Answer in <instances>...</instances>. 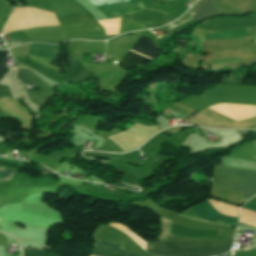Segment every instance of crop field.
<instances>
[{
	"label": "crop field",
	"instance_id": "crop-field-7",
	"mask_svg": "<svg viewBox=\"0 0 256 256\" xmlns=\"http://www.w3.org/2000/svg\"><path fill=\"white\" fill-rule=\"evenodd\" d=\"M94 239L96 240V242L94 244L96 246L103 247V248H106V249H111V250L127 252L126 250H124L121 247L122 244L102 241V240H99L97 238H94ZM99 247L94 246L93 251L91 253L92 256H134L130 253L110 251V250L102 249V248H99Z\"/></svg>",
	"mask_w": 256,
	"mask_h": 256
},
{
	"label": "crop field",
	"instance_id": "crop-field-14",
	"mask_svg": "<svg viewBox=\"0 0 256 256\" xmlns=\"http://www.w3.org/2000/svg\"><path fill=\"white\" fill-rule=\"evenodd\" d=\"M8 51H0V79L6 71L4 61L7 57Z\"/></svg>",
	"mask_w": 256,
	"mask_h": 256
},
{
	"label": "crop field",
	"instance_id": "crop-field-5",
	"mask_svg": "<svg viewBox=\"0 0 256 256\" xmlns=\"http://www.w3.org/2000/svg\"><path fill=\"white\" fill-rule=\"evenodd\" d=\"M209 108L237 121L256 116V106L239 104H217Z\"/></svg>",
	"mask_w": 256,
	"mask_h": 256
},
{
	"label": "crop field",
	"instance_id": "crop-field-4",
	"mask_svg": "<svg viewBox=\"0 0 256 256\" xmlns=\"http://www.w3.org/2000/svg\"><path fill=\"white\" fill-rule=\"evenodd\" d=\"M132 49L136 50V51H139L143 54H146L150 57H156L158 56V51L157 49L155 48V46L153 45V43L150 41V39L148 38H145V37H142L140 36L139 40L137 41V43L132 47ZM130 49V51L132 52H135L137 54H140L142 56H145L147 58H150L146 55H143L139 52H136L134 50ZM128 51L125 56L123 57L122 61L118 64L120 67H122L123 69H125L126 71L149 60L145 57H142L140 55H137L135 53H132ZM124 70V71H125Z\"/></svg>",
	"mask_w": 256,
	"mask_h": 256
},
{
	"label": "crop field",
	"instance_id": "crop-field-6",
	"mask_svg": "<svg viewBox=\"0 0 256 256\" xmlns=\"http://www.w3.org/2000/svg\"><path fill=\"white\" fill-rule=\"evenodd\" d=\"M96 8L107 18L121 17L139 11L135 2L98 6Z\"/></svg>",
	"mask_w": 256,
	"mask_h": 256
},
{
	"label": "crop field",
	"instance_id": "crop-field-11",
	"mask_svg": "<svg viewBox=\"0 0 256 256\" xmlns=\"http://www.w3.org/2000/svg\"><path fill=\"white\" fill-rule=\"evenodd\" d=\"M196 13L192 18L200 22L214 15V6L212 0L204 3L198 9L194 11Z\"/></svg>",
	"mask_w": 256,
	"mask_h": 256
},
{
	"label": "crop field",
	"instance_id": "crop-field-13",
	"mask_svg": "<svg viewBox=\"0 0 256 256\" xmlns=\"http://www.w3.org/2000/svg\"><path fill=\"white\" fill-rule=\"evenodd\" d=\"M15 172L0 167V182L9 181Z\"/></svg>",
	"mask_w": 256,
	"mask_h": 256
},
{
	"label": "crop field",
	"instance_id": "crop-field-1",
	"mask_svg": "<svg viewBox=\"0 0 256 256\" xmlns=\"http://www.w3.org/2000/svg\"><path fill=\"white\" fill-rule=\"evenodd\" d=\"M233 239L206 243L151 242L147 252L157 256H214L228 252Z\"/></svg>",
	"mask_w": 256,
	"mask_h": 256
},
{
	"label": "crop field",
	"instance_id": "crop-field-10",
	"mask_svg": "<svg viewBox=\"0 0 256 256\" xmlns=\"http://www.w3.org/2000/svg\"><path fill=\"white\" fill-rule=\"evenodd\" d=\"M171 234L183 237H217V231L192 230L175 225L171 226Z\"/></svg>",
	"mask_w": 256,
	"mask_h": 256
},
{
	"label": "crop field",
	"instance_id": "crop-field-3",
	"mask_svg": "<svg viewBox=\"0 0 256 256\" xmlns=\"http://www.w3.org/2000/svg\"><path fill=\"white\" fill-rule=\"evenodd\" d=\"M18 70V74H17V78L19 79V81L22 84H31L33 86H35L36 88H38V91H29L27 89L26 86H24L26 92L48 102V98L49 97H53V95L55 94L54 92V88L50 87L49 85H47L45 82H43L40 78H38L35 74H33L28 68H17ZM29 98L31 100V102H33L34 104L38 105V106H42L43 104H45V102L29 95Z\"/></svg>",
	"mask_w": 256,
	"mask_h": 256
},
{
	"label": "crop field",
	"instance_id": "crop-field-9",
	"mask_svg": "<svg viewBox=\"0 0 256 256\" xmlns=\"http://www.w3.org/2000/svg\"><path fill=\"white\" fill-rule=\"evenodd\" d=\"M250 29L251 28L221 32L206 31L205 40L250 38Z\"/></svg>",
	"mask_w": 256,
	"mask_h": 256
},
{
	"label": "crop field",
	"instance_id": "crop-field-15",
	"mask_svg": "<svg viewBox=\"0 0 256 256\" xmlns=\"http://www.w3.org/2000/svg\"><path fill=\"white\" fill-rule=\"evenodd\" d=\"M201 115V114H200ZM203 116V115H202ZM205 117V116H204ZM207 118V117H206ZM209 119V118H208ZM211 120V119H210ZM214 121V120H213Z\"/></svg>",
	"mask_w": 256,
	"mask_h": 256
},
{
	"label": "crop field",
	"instance_id": "crop-field-8",
	"mask_svg": "<svg viewBox=\"0 0 256 256\" xmlns=\"http://www.w3.org/2000/svg\"><path fill=\"white\" fill-rule=\"evenodd\" d=\"M60 47L33 44L28 56L32 58L55 61Z\"/></svg>",
	"mask_w": 256,
	"mask_h": 256
},
{
	"label": "crop field",
	"instance_id": "crop-field-12",
	"mask_svg": "<svg viewBox=\"0 0 256 256\" xmlns=\"http://www.w3.org/2000/svg\"><path fill=\"white\" fill-rule=\"evenodd\" d=\"M24 256H57L46 251L39 250H26L24 251Z\"/></svg>",
	"mask_w": 256,
	"mask_h": 256
},
{
	"label": "crop field",
	"instance_id": "crop-field-2",
	"mask_svg": "<svg viewBox=\"0 0 256 256\" xmlns=\"http://www.w3.org/2000/svg\"><path fill=\"white\" fill-rule=\"evenodd\" d=\"M217 184L230 187L246 199L256 193V173L220 167Z\"/></svg>",
	"mask_w": 256,
	"mask_h": 256
}]
</instances>
